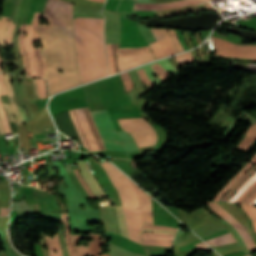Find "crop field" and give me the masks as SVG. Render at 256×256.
Instances as JSON below:
<instances>
[{
    "instance_id": "5866460e",
    "label": "crop field",
    "mask_w": 256,
    "mask_h": 256,
    "mask_svg": "<svg viewBox=\"0 0 256 256\" xmlns=\"http://www.w3.org/2000/svg\"><path fill=\"white\" fill-rule=\"evenodd\" d=\"M13 24L11 21H9V26H8V29L6 32V42H7V45H9V46H11V44H12V35H13L14 28H15V26Z\"/></svg>"
},
{
    "instance_id": "dbb93151",
    "label": "crop field",
    "mask_w": 256,
    "mask_h": 256,
    "mask_svg": "<svg viewBox=\"0 0 256 256\" xmlns=\"http://www.w3.org/2000/svg\"><path fill=\"white\" fill-rule=\"evenodd\" d=\"M92 1L105 2V0H92Z\"/></svg>"
},
{
    "instance_id": "ae1a2a85",
    "label": "crop field",
    "mask_w": 256,
    "mask_h": 256,
    "mask_svg": "<svg viewBox=\"0 0 256 256\" xmlns=\"http://www.w3.org/2000/svg\"><path fill=\"white\" fill-rule=\"evenodd\" d=\"M174 58L179 63L180 66L194 60L191 51L174 56Z\"/></svg>"
},
{
    "instance_id": "ac0d7876",
    "label": "crop field",
    "mask_w": 256,
    "mask_h": 256,
    "mask_svg": "<svg viewBox=\"0 0 256 256\" xmlns=\"http://www.w3.org/2000/svg\"><path fill=\"white\" fill-rule=\"evenodd\" d=\"M101 164L124 202L123 208L129 237L131 240L141 244L140 228L142 223L153 224L150 197L109 162L105 161L101 162ZM123 208L122 206H116V211L121 234L129 239Z\"/></svg>"
},
{
    "instance_id": "73cf0c24",
    "label": "crop field",
    "mask_w": 256,
    "mask_h": 256,
    "mask_svg": "<svg viewBox=\"0 0 256 256\" xmlns=\"http://www.w3.org/2000/svg\"><path fill=\"white\" fill-rule=\"evenodd\" d=\"M133 120H144V119H142V118L126 119V120H118V122H123V121H133Z\"/></svg>"
},
{
    "instance_id": "28ad6ade",
    "label": "crop field",
    "mask_w": 256,
    "mask_h": 256,
    "mask_svg": "<svg viewBox=\"0 0 256 256\" xmlns=\"http://www.w3.org/2000/svg\"><path fill=\"white\" fill-rule=\"evenodd\" d=\"M204 2V0H180L172 3H161V4H135L134 10H163L172 9L184 5L195 4Z\"/></svg>"
},
{
    "instance_id": "733c2abd",
    "label": "crop field",
    "mask_w": 256,
    "mask_h": 256,
    "mask_svg": "<svg viewBox=\"0 0 256 256\" xmlns=\"http://www.w3.org/2000/svg\"><path fill=\"white\" fill-rule=\"evenodd\" d=\"M5 84L7 86L8 95H9L13 115L17 120V124L19 125L21 123V119H20V116H19V113H18V110H17V107H16L14 97H13V90H12V86L9 82V75H5Z\"/></svg>"
},
{
    "instance_id": "3316defc",
    "label": "crop field",
    "mask_w": 256,
    "mask_h": 256,
    "mask_svg": "<svg viewBox=\"0 0 256 256\" xmlns=\"http://www.w3.org/2000/svg\"><path fill=\"white\" fill-rule=\"evenodd\" d=\"M117 57H118L120 72L155 59L152 52L141 53V54H131V55H121Z\"/></svg>"
},
{
    "instance_id": "00972430",
    "label": "crop field",
    "mask_w": 256,
    "mask_h": 256,
    "mask_svg": "<svg viewBox=\"0 0 256 256\" xmlns=\"http://www.w3.org/2000/svg\"><path fill=\"white\" fill-rule=\"evenodd\" d=\"M256 181V173L249 178V180L236 192V194L228 201L234 202L239 196H241L254 182Z\"/></svg>"
},
{
    "instance_id": "34b2d1b8",
    "label": "crop field",
    "mask_w": 256,
    "mask_h": 256,
    "mask_svg": "<svg viewBox=\"0 0 256 256\" xmlns=\"http://www.w3.org/2000/svg\"><path fill=\"white\" fill-rule=\"evenodd\" d=\"M103 23L104 19H74V39L82 84L108 75Z\"/></svg>"
},
{
    "instance_id": "4a817a6b",
    "label": "crop field",
    "mask_w": 256,
    "mask_h": 256,
    "mask_svg": "<svg viewBox=\"0 0 256 256\" xmlns=\"http://www.w3.org/2000/svg\"><path fill=\"white\" fill-rule=\"evenodd\" d=\"M118 47H119V45H112L115 73L119 72L118 66H117V60H116V50ZM106 50H107V54H108V64H109L110 75H112V74H114V69H113V58H112V52H111V45H106Z\"/></svg>"
},
{
    "instance_id": "750c4746",
    "label": "crop field",
    "mask_w": 256,
    "mask_h": 256,
    "mask_svg": "<svg viewBox=\"0 0 256 256\" xmlns=\"http://www.w3.org/2000/svg\"><path fill=\"white\" fill-rule=\"evenodd\" d=\"M0 116H1V120H2V123H3V126L6 130V132L7 133H12L11 129H10L9 122H8L7 115H6V112H5V109L3 108V105L1 103V99H0Z\"/></svg>"
},
{
    "instance_id": "1f2cbd36",
    "label": "crop field",
    "mask_w": 256,
    "mask_h": 256,
    "mask_svg": "<svg viewBox=\"0 0 256 256\" xmlns=\"http://www.w3.org/2000/svg\"><path fill=\"white\" fill-rule=\"evenodd\" d=\"M8 142H9V145H10V146H12V145L15 146V141H14V140L11 141V142H12V145H11V142H10V141H8Z\"/></svg>"
},
{
    "instance_id": "d8731c3e",
    "label": "crop field",
    "mask_w": 256,
    "mask_h": 256,
    "mask_svg": "<svg viewBox=\"0 0 256 256\" xmlns=\"http://www.w3.org/2000/svg\"><path fill=\"white\" fill-rule=\"evenodd\" d=\"M207 204L222 218H224L226 221H228L238 232L241 239L244 241L245 245L247 246L248 250L255 249V245L249 234L247 233L246 229L237 222L234 218H232L230 215H228L217 202H210L206 201Z\"/></svg>"
},
{
    "instance_id": "89e229c0",
    "label": "crop field",
    "mask_w": 256,
    "mask_h": 256,
    "mask_svg": "<svg viewBox=\"0 0 256 256\" xmlns=\"http://www.w3.org/2000/svg\"><path fill=\"white\" fill-rule=\"evenodd\" d=\"M6 134L2 125H1V121H0V135Z\"/></svg>"
},
{
    "instance_id": "5142ce71",
    "label": "crop field",
    "mask_w": 256,
    "mask_h": 256,
    "mask_svg": "<svg viewBox=\"0 0 256 256\" xmlns=\"http://www.w3.org/2000/svg\"><path fill=\"white\" fill-rule=\"evenodd\" d=\"M122 129L129 132L152 129L146 121L120 123Z\"/></svg>"
},
{
    "instance_id": "bd1437ed",
    "label": "crop field",
    "mask_w": 256,
    "mask_h": 256,
    "mask_svg": "<svg viewBox=\"0 0 256 256\" xmlns=\"http://www.w3.org/2000/svg\"><path fill=\"white\" fill-rule=\"evenodd\" d=\"M34 53H35V56H36V59H37L38 76H44V70H43V63H42L40 48L34 49Z\"/></svg>"
},
{
    "instance_id": "447ae74e",
    "label": "crop field",
    "mask_w": 256,
    "mask_h": 256,
    "mask_svg": "<svg viewBox=\"0 0 256 256\" xmlns=\"http://www.w3.org/2000/svg\"><path fill=\"white\" fill-rule=\"evenodd\" d=\"M32 192H34V189H33V187H32Z\"/></svg>"
},
{
    "instance_id": "25e5ab78",
    "label": "crop field",
    "mask_w": 256,
    "mask_h": 256,
    "mask_svg": "<svg viewBox=\"0 0 256 256\" xmlns=\"http://www.w3.org/2000/svg\"><path fill=\"white\" fill-rule=\"evenodd\" d=\"M226 233H229L228 231L224 230V231H221L219 233H216V234H213L211 236H208V237H205L203 238L204 241L208 240V239H211V238H214L216 236H219V235H222V234H226Z\"/></svg>"
},
{
    "instance_id": "0fb4a251",
    "label": "crop field",
    "mask_w": 256,
    "mask_h": 256,
    "mask_svg": "<svg viewBox=\"0 0 256 256\" xmlns=\"http://www.w3.org/2000/svg\"><path fill=\"white\" fill-rule=\"evenodd\" d=\"M251 204L256 205V199Z\"/></svg>"
},
{
    "instance_id": "d9b57169",
    "label": "crop field",
    "mask_w": 256,
    "mask_h": 256,
    "mask_svg": "<svg viewBox=\"0 0 256 256\" xmlns=\"http://www.w3.org/2000/svg\"><path fill=\"white\" fill-rule=\"evenodd\" d=\"M255 171L256 164L232 187V189L220 201L226 202Z\"/></svg>"
},
{
    "instance_id": "dafd665d",
    "label": "crop field",
    "mask_w": 256,
    "mask_h": 256,
    "mask_svg": "<svg viewBox=\"0 0 256 256\" xmlns=\"http://www.w3.org/2000/svg\"><path fill=\"white\" fill-rule=\"evenodd\" d=\"M256 197V182L235 202L250 204Z\"/></svg>"
},
{
    "instance_id": "cbeb9de0",
    "label": "crop field",
    "mask_w": 256,
    "mask_h": 256,
    "mask_svg": "<svg viewBox=\"0 0 256 256\" xmlns=\"http://www.w3.org/2000/svg\"><path fill=\"white\" fill-rule=\"evenodd\" d=\"M253 158V157H252ZM256 162V155L254 158L237 174L235 175L225 187L214 197L213 201H219L223 195L244 175V173L251 168Z\"/></svg>"
},
{
    "instance_id": "425ffa30",
    "label": "crop field",
    "mask_w": 256,
    "mask_h": 256,
    "mask_svg": "<svg viewBox=\"0 0 256 256\" xmlns=\"http://www.w3.org/2000/svg\"><path fill=\"white\" fill-rule=\"evenodd\" d=\"M199 242H201V240H199V241H197V242H194V243H192V244H189V245L180 247L179 249H180V251L182 252V251H185V250H189V249L195 248V245H194V244L199 243Z\"/></svg>"
},
{
    "instance_id": "0765c3eb",
    "label": "crop field",
    "mask_w": 256,
    "mask_h": 256,
    "mask_svg": "<svg viewBox=\"0 0 256 256\" xmlns=\"http://www.w3.org/2000/svg\"><path fill=\"white\" fill-rule=\"evenodd\" d=\"M247 256H250V255H247Z\"/></svg>"
},
{
    "instance_id": "b54c1fbb",
    "label": "crop field",
    "mask_w": 256,
    "mask_h": 256,
    "mask_svg": "<svg viewBox=\"0 0 256 256\" xmlns=\"http://www.w3.org/2000/svg\"><path fill=\"white\" fill-rule=\"evenodd\" d=\"M18 108H19V112H20V116L22 118V121L25 123L26 121L29 120V118H28V116L26 114V111H25V109H23V108H21L19 106H18Z\"/></svg>"
},
{
    "instance_id": "0bd39190",
    "label": "crop field",
    "mask_w": 256,
    "mask_h": 256,
    "mask_svg": "<svg viewBox=\"0 0 256 256\" xmlns=\"http://www.w3.org/2000/svg\"><path fill=\"white\" fill-rule=\"evenodd\" d=\"M137 73L139 74L141 80H142L145 84H147V85H149V86L153 85V83H152V82L149 80V78L147 77V75H146L144 69L137 70Z\"/></svg>"
},
{
    "instance_id": "c035e120",
    "label": "crop field",
    "mask_w": 256,
    "mask_h": 256,
    "mask_svg": "<svg viewBox=\"0 0 256 256\" xmlns=\"http://www.w3.org/2000/svg\"><path fill=\"white\" fill-rule=\"evenodd\" d=\"M0 93L1 95L7 94V90L4 84V78L2 74H0Z\"/></svg>"
},
{
    "instance_id": "120bbe31",
    "label": "crop field",
    "mask_w": 256,
    "mask_h": 256,
    "mask_svg": "<svg viewBox=\"0 0 256 256\" xmlns=\"http://www.w3.org/2000/svg\"><path fill=\"white\" fill-rule=\"evenodd\" d=\"M159 65L163 67L169 74L174 73L177 69L167 60L158 61Z\"/></svg>"
},
{
    "instance_id": "e52e79f7",
    "label": "crop field",
    "mask_w": 256,
    "mask_h": 256,
    "mask_svg": "<svg viewBox=\"0 0 256 256\" xmlns=\"http://www.w3.org/2000/svg\"><path fill=\"white\" fill-rule=\"evenodd\" d=\"M40 17H41V14L35 13L34 19H33V24H32L34 40H39L38 28H39ZM32 30H31V26L27 25V33L25 35V45H26V52H27L31 76H37L35 58H34V54H33Z\"/></svg>"
},
{
    "instance_id": "9d1cf04e",
    "label": "crop field",
    "mask_w": 256,
    "mask_h": 256,
    "mask_svg": "<svg viewBox=\"0 0 256 256\" xmlns=\"http://www.w3.org/2000/svg\"><path fill=\"white\" fill-rule=\"evenodd\" d=\"M16 193H18V189H16Z\"/></svg>"
},
{
    "instance_id": "d32e631a",
    "label": "crop field",
    "mask_w": 256,
    "mask_h": 256,
    "mask_svg": "<svg viewBox=\"0 0 256 256\" xmlns=\"http://www.w3.org/2000/svg\"><path fill=\"white\" fill-rule=\"evenodd\" d=\"M121 76H122V80H123L126 91H129L130 89H132V81L128 72L122 73Z\"/></svg>"
},
{
    "instance_id": "1d79db26",
    "label": "crop field",
    "mask_w": 256,
    "mask_h": 256,
    "mask_svg": "<svg viewBox=\"0 0 256 256\" xmlns=\"http://www.w3.org/2000/svg\"><path fill=\"white\" fill-rule=\"evenodd\" d=\"M0 64H1V58H0ZM0 72H3V70L0 68Z\"/></svg>"
},
{
    "instance_id": "d1516ede",
    "label": "crop field",
    "mask_w": 256,
    "mask_h": 256,
    "mask_svg": "<svg viewBox=\"0 0 256 256\" xmlns=\"http://www.w3.org/2000/svg\"><path fill=\"white\" fill-rule=\"evenodd\" d=\"M78 166L80 167L82 174L84 178L87 180L89 185L91 186L93 192L96 194L97 197H103L106 196L101 186L98 184V182L95 180V178L90 173L85 161H77Z\"/></svg>"
},
{
    "instance_id": "b80d0937",
    "label": "crop field",
    "mask_w": 256,
    "mask_h": 256,
    "mask_svg": "<svg viewBox=\"0 0 256 256\" xmlns=\"http://www.w3.org/2000/svg\"><path fill=\"white\" fill-rule=\"evenodd\" d=\"M168 31H169L170 36L172 37L173 41L175 42L179 52L183 51V48H182V46L180 45V43H179V41L177 39L175 30H168Z\"/></svg>"
},
{
    "instance_id": "5d738f31",
    "label": "crop field",
    "mask_w": 256,
    "mask_h": 256,
    "mask_svg": "<svg viewBox=\"0 0 256 256\" xmlns=\"http://www.w3.org/2000/svg\"><path fill=\"white\" fill-rule=\"evenodd\" d=\"M2 103H3V102H2ZM3 105H4V107H5L6 111H7V114H8L9 120H11V121H15V119H14V117H13L12 113H11L10 106H9L8 104H5V103H3ZM15 122H16V121H15Z\"/></svg>"
},
{
    "instance_id": "d3111659",
    "label": "crop field",
    "mask_w": 256,
    "mask_h": 256,
    "mask_svg": "<svg viewBox=\"0 0 256 256\" xmlns=\"http://www.w3.org/2000/svg\"><path fill=\"white\" fill-rule=\"evenodd\" d=\"M8 19L9 18L2 16L0 20V45H5V31Z\"/></svg>"
},
{
    "instance_id": "028f5c9d",
    "label": "crop field",
    "mask_w": 256,
    "mask_h": 256,
    "mask_svg": "<svg viewBox=\"0 0 256 256\" xmlns=\"http://www.w3.org/2000/svg\"><path fill=\"white\" fill-rule=\"evenodd\" d=\"M153 70L160 76V78L164 81L169 74L166 73L158 64L151 66Z\"/></svg>"
},
{
    "instance_id": "e1f06a70",
    "label": "crop field",
    "mask_w": 256,
    "mask_h": 256,
    "mask_svg": "<svg viewBox=\"0 0 256 256\" xmlns=\"http://www.w3.org/2000/svg\"><path fill=\"white\" fill-rule=\"evenodd\" d=\"M76 176L78 177V179L80 180L81 184L83 185V187L85 188V190L87 191V193L90 195V197L95 198V196L92 194V192L90 191L89 187L87 186V184L84 182V180L81 178L78 169L74 170ZM96 199V198H95Z\"/></svg>"
},
{
    "instance_id": "412701ff",
    "label": "crop field",
    "mask_w": 256,
    "mask_h": 256,
    "mask_svg": "<svg viewBox=\"0 0 256 256\" xmlns=\"http://www.w3.org/2000/svg\"><path fill=\"white\" fill-rule=\"evenodd\" d=\"M69 112L83 140L84 146L89 148L90 151L105 149L124 151L106 111L91 112L103 138L105 149L88 107L70 110Z\"/></svg>"
},
{
    "instance_id": "eef30255",
    "label": "crop field",
    "mask_w": 256,
    "mask_h": 256,
    "mask_svg": "<svg viewBox=\"0 0 256 256\" xmlns=\"http://www.w3.org/2000/svg\"><path fill=\"white\" fill-rule=\"evenodd\" d=\"M149 51H151L149 46L140 47V48H124V49H118L117 55L139 53V52H149Z\"/></svg>"
},
{
    "instance_id": "4177f3b9",
    "label": "crop field",
    "mask_w": 256,
    "mask_h": 256,
    "mask_svg": "<svg viewBox=\"0 0 256 256\" xmlns=\"http://www.w3.org/2000/svg\"><path fill=\"white\" fill-rule=\"evenodd\" d=\"M62 218H63L64 225L66 227L65 233H66V240H67V243H68L70 256H76L75 253H74V248L72 246V242H71V238H70L69 223L67 221V219H68L67 214H62Z\"/></svg>"
},
{
    "instance_id": "dd49c442",
    "label": "crop field",
    "mask_w": 256,
    "mask_h": 256,
    "mask_svg": "<svg viewBox=\"0 0 256 256\" xmlns=\"http://www.w3.org/2000/svg\"><path fill=\"white\" fill-rule=\"evenodd\" d=\"M157 41L150 43L156 59L167 57L178 53L174 46L167 29H150Z\"/></svg>"
},
{
    "instance_id": "5a996713",
    "label": "crop field",
    "mask_w": 256,
    "mask_h": 256,
    "mask_svg": "<svg viewBox=\"0 0 256 256\" xmlns=\"http://www.w3.org/2000/svg\"><path fill=\"white\" fill-rule=\"evenodd\" d=\"M90 238L93 240L89 243V246L87 248L83 247V246H79L77 247L75 245V243H77L78 239H87V237L81 236V235H73L72 237V241L74 243V247L76 250V255L77 256H86V254H90V256H98V252L100 249L99 246H101L102 244H104V238H102L101 236H99L98 234H92L89 233ZM99 238H102L103 241H100ZM103 256H109L108 254H105Z\"/></svg>"
},
{
    "instance_id": "c21b1889",
    "label": "crop field",
    "mask_w": 256,
    "mask_h": 256,
    "mask_svg": "<svg viewBox=\"0 0 256 256\" xmlns=\"http://www.w3.org/2000/svg\"><path fill=\"white\" fill-rule=\"evenodd\" d=\"M142 229H166V230H176L175 228H166V227H162V226H151V225H147V224H143V228Z\"/></svg>"
},
{
    "instance_id": "92a150f3",
    "label": "crop field",
    "mask_w": 256,
    "mask_h": 256,
    "mask_svg": "<svg viewBox=\"0 0 256 256\" xmlns=\"http://www.w3.org/2000/svg\"><path fill=\"white\" fill-rule=\"evenodd\" d=\"M43 80H44L43 78L32 79V85H33V89H34L35 99L46 97L47 93L45 94V89H44V83H45V88H46V82L44 81V83H43Z\"/></svg>"
},
{
    "instance_id": "214f88e0",
    "label": "crop field",
    "mask_w": 256,
    "mask_h": 256,
    "mask_svg": "<svg viewBox=\"0 0 256 256\" xmlns=\"http://www.w3.org/2000/svg\"><path fill=\"white\" fill-rule=\"evenodd\" d=\"M26 33V25L21 26V33L19 35V45H20V54L24 62V67L26 68V76H30L27 57L25 52V45H24V34Z\"/></svg>"
},
{
    "instance_id": "8a807250",
    "label": "crop field",
    "mask_w": 256,
    "mask_h": 256,
    "mask_svg": "<svg viewBox=\"0 0 256 256\" xmlns=\"http://www.w3.org/2000/svg\"><path fill=\"white\" fill-rule=\"evenodd\" d=\"M73 7V4L63 0H48L42 15L51 24L41 28L50 96L81 84L73 40ZM58 69H62L63 73H59Z\"/></svg>"
},
{
    "instance_id": "1d83c4d3",
    "label": "crop field",
    "mask_w": 256,
    "mask_h": 256,
    "mask_svg": "<svg viewBox=\"0 0 256 256\" xmlns=\"http://www.w3.org/2000/svg\"><path fill=\"white\" fill-rule=\"evenodd\" d=\"M174 235L142 233V238L173 239Z\"/></svg>"
},
{
    "instance_id": "d23c7cc5",
    "label": "crop field",
    "mask_w": 256,
    "mask_h": 256,
    "mask_svg": "<svg viewBox=\"0 0 256 256\" xmlns=\"http://www.w3.org/2000/svg\"><path fill=\"white\" fill-rule=\"evenodd\" d=\"M142 232H154V233L175 234V232H176V231H165V230H142Z\"/></svg>"
},
{
    "instance_id": "f4fd0767",
    "label": "crop field",
    "mask_w": 256,
    "mask_h": 256,
    "mask_svg": "<svg viewBox=\"0 0 256 256\" xmlns=\"http://www.w3.org/2000/svg\"><path fill=\"white\" fill-rule=\"evenodd\" d=\"M212 38L216 45L217 55L256 59V45L240 46L213 36Z\"/></svg>"
},
{
    "instance_id": "22f410ed",
    "label": "crop field",
    "mask_w": 256,
    "mask_h": 256,
    "mask_svg": "<svg viewBox=\"0 0 256 256\" xmlns=\"http://www.w3.org/2000/svg\"><path fill=\"white\" fill-rule=\"evenodd\" d=\"M138 148L153 145L156 143V135L155 132L150 131H143V132H135L131 133Z\"/></svg>"
},
{
    "instance_id": "03da06ac",
    "label": "crop field",
    "mask_w": 256,
    "mask_h": 256,
    "mask_svg": "<svg viewBox=\"0 0 256 256\" xmlns=\"http://www.w3.org/2000/svg\"><path fill=\"white\" fill-rule=\"evenodd\" d=\"M46 237V236H45ZM47 246L49 248L50 256H55L54 248L50 237H46Z\"/></svg>"
},
{
    "instance_id": "a9b5d70f",
    "label": "crop field",
    "mask_w": 256,
    "mask_h": 256,
    "mask_svg": "<svg viewBox=\"0 0 256 256\" xmlns=\"http://www.w3.org/2000/svg\"><path fill=\"white\" fill-rule=\"evenodd\" d=\"M172 241L173 240L142 239V245L172 247Z\"/></svg>"
},
{
    "instance_id": "730fd06b",
    "label": "crop field",
    "mask_w": 256,
    "mask_h": 256,
    "mask_svg": "<svg viewBox=\"0 0 256 256\" xmlns=\"http://www.w3.org/2000/svg\"><path fill=\"white\" fill-rule=\"evenodd\" d=\"M241 207L244 209V211L247 213L248 217L251 219L253 227L256 231V207L251 205H242Z\"/></svg>"
},
{
    "instance_id": "bc2a9ffb",
    "label": "crop field",
    "mask_w": 256,
    "mask_h": 256,
    "mask_svg": "<svg viewBox=\"0 0 256 256\" xmlns=\"http://www.w3.org/2000/svg\"><path fill=\"white\" fill-rule=\"evenodd\" d=\"M60 231H61L60 244H61L63 256H69L68 248H67V245H66V242H65L63 231L62 230H60ZM52 242H53L54 248L57 249L56 256H62V252H61V248H60L59 241H58V238H57V234L54 236Z\"/></svg>"
}]
</instances>
